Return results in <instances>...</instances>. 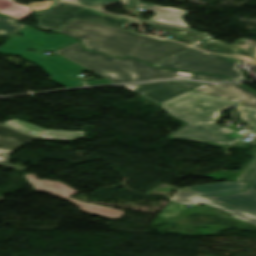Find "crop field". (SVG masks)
<instances>
[{
  "label": "crop field",
  "instance_id": "29",
  "mask_svg": "<svg viewBox=\"0 0 256 256\" xmlns=\"http://www.w3.org/2000/svg\"><path fill=\"white\" fill-rule=\"evenodd\" d=\"M0 16L13 17V16H15V15L10 14V13H7V12L0 11Z\"/></svg>",
  "mask_w": 256,
  "mask_h": 256
},
{
  "label": "crop field",
  "instance_id": "19",
  "mask_svg": "<svg viewBox=\"0 0 256 256\" xmlns=\"http://www.w3.org/2000/svg\"><path fill=\"white\" fill-rule=\"evenodd\" d=\"M195 91H199V92H203V93H207L213 96H217V97H221V98H225L228 100H231L233 102L239 103L238 98L236 97V95L231 94L215 85H210V84H205L203 86L197 87L195 89H192Z\"/></svg>",
  "mask_w": 256,
  "mask_h": 256
},
{
  "label": "crop field",
  "instance_id": "28",
  "mask_svg": "<svg viewBox=\"0 0 256 256\" xmlns=\"http://www.w3.org/2000/svg\"><path fill=\"white\" fill-rule=\"evenodd\" d=\"M87 84V86L89 85H101V84H110L113 83L109 80H102V81H91V82H85Z\"/></svg>",
  "mask_w": 256,
  "mask_h": 256
},
{
  "label": "crop field",
  "instance_id": "22",
  "mask_svg": "<svg viewBox=\"0 0 256 256\" xmlns=\"http://www.w3.org/2000/svg\"><path fill=\"white\" fill-rule=\"evenodd\" d=\"M0 10L16 14L19 18L32 12L29 6L16 5L9 0H0Z\"/></svg>",
  "mask_w": 256,
  "mask_h": 256
},
{
  "label": "crop field",
  "instance_id": "10",
  "mask_svg": "<svg viewBox=\"0 0 256 256\" xmlns=\"http://www.w3.org/2000/svg\"><path fill=\"white\" fill-rule=\"evenodd\" d=\"M207 198L256 216V179L242 193Z\"/></svg>",
  "mask_w": 256,
  "mask_h": 256
},
{
  "label": "crop field",
  "instance_id": "18",
  "mask_svg": "<svg viewBox=\"0 0 256 256\" xmlns=\"http://www.w3.org/2000/svg\"><path fill=\"white\" fill-rule=\"evenodd\" d=\"M220 86L238 94L242 98V104L256 108V95L236 84H221Z\"/></svg>",
  "mask_w": 256,
  "mask_h": 256
},
{
  "label": "crop field",
  "instance_id": "11",
  "mask_svg": "<svg viewBox=\"0 0 256 256\" xmlns=\"http://www.w3.org/2000/svg\"><path fill=\"white\" fill-rule=\"evenodd\" d=\"M16 129L24 132L34 131L32 134L45 140H76L81 139L84 136V132L78 131H58V130H46L36 125L26 123L21 120H10L5 123Z\"/></svg>",
  "mask_w": 256,
  "mask_h": 256
},
{
  "label": "crop field",
  "instance_id": "20",
  "mask_svg": "<svg viewBox=\"0 0 256 256\" xmlns=\"http://www.w3.org/2000/svg\"><path fill=\"white\" fill-rule=\"evenodd\" d=\"M0 136L12 139L14 141L23 143V144H27L35 139H37L36 137L15 131L13 129L4 127L2 125H0Z\"/></svg>",
  "mask_w": 256,
  "mask_h": 256
},
{
  "label": "crop field",
  "instance_id": "14",
  "mask_svg": "<svg viewBox=\"0 0 256 256\" xmlns=\"http://www.w3.org/2000/svg\"><path fill=\"white\" fill-rule=\"evenodd\" d=\"M222 127L216 124H187L169 137H184L211 142Z\"/></svg>",
  "mask_w": 256,
  "mask_h": 256
},
{
  "label": "crop field",
  "instance_id": "2",
  "mask_svg": "<svg viewBox=\"0 0 256 256\" xmlns=\"http://www.w3.org/2000/svg\"><path fill=\"white\" fill-rule=\"evenodd\" d=\"M22 33V37L16 35ZM14 36L10 37L5 44L0 48V53L19 55L34 64L42 67L52 80L67 88L80 87L83 83L74 76L78 75L85 68L67 60L66 58L55 54L52 56H45V51H55L65 46L76 42L71 38L63 35H46L40 31L34 30L31 27H26ZM36 49L35 52H28V48ZM40 52V54H37Z\"/></svg>",
  "mask_w": 256,
  "mask_h": 256
},
{
  "label": "crop field",
  "instance_id": "25",
  "mask_svg": "<svg viewBox=\"0 0 256 256\" xmlns=\"http://www.w3.org/2000/svg\"><path fill=\"white\" fill-rule=\"evenodd\" d=\"M187 206L171 202L159 217L169 218L171 216H178ZM176 208V210H174Z\"/></svg>",
  "mask_w": 256,
  "mask_h": 256
},
{
  "label": "crop field",
  "instance_id": "5",
  "mask_svg": "<svg viewBox=\"0 0 256 256\" xmlns=\"http://www.w3.org/2000/svg\"><path fill=\"white\" fill-rule=\"evenodd\" d=\"M239 62L241 61L236 58H228L191 48L155 66L224 75L235 81L244 80L241 71L237 69Z\"/></svg>",
  "mask_w": 256,
  "mask_h": 256
},
{
  "label": "crop field",
  "instance_id": "17",
  "mask_svg": "<svg viewBox=\"0 0 256 256\" xmlns=\"http://www.w3.org/2000/svg\"><path fill=\"white\" fill-rule=\"evenodd\" d=\"M21 146H23V144L0 137V153L1 152L5 153L4 155H0V165L11 167L13 169L20 170V171L25 170L26 168L24 167L8 164L11 158H9L7 154L13 152L14 150L18 149Z\"/></svg>",
  "mask_w": 256,
  "mask_h": 256
},
{
  "label": "crop field",
  "instance_id": "8",
  "mask_svg": "<svg viewBox=\"0 0 256 256\" xmlns=\"http://www.w3.org/2000/svg\"><path fill=\"white\" fill-rule=\"evenodd\" d=\"M203 83L188 82L182 80H172L156 83L124 85V87L159 103L175 95L188 91Z\"/></svg>",
  "mask_w": 256,
  "mask_h": 256
},
{
  "label": "crop field",
  "instance_id": "9",
  "mask_svg": "<svg viewBox=\"0 0 256 256\" xmlns=\"http://www.w3.org/2000/svg\"><path fill=\"white\" fill-rule=\"evenodd\" d=\"M199 48L209 52H217L240 57L251 64H256V49L241 40L237 41L233 45H228L221 41L209 40L204 42Z\"/></svg>",
  "mask_w": 256,
  "mask_h": 256
},
{
  "label": "crop field",
  "instance_id": "16",
  "mask_svg": "<svg viewBox=\"0 0 256 256\" xmlns=\"http://www.w3.org/2000/svg\"><path fill=\"white\" fill-rule=\"evenodd\" d=\"M248 184L239 182H225L217 184H208L183 188V190L195 193L201 196L214 195L221 193L242 191Z\"/></svg>",
  "mask_w": 256,
  "mask_h": 256
},
{
  "label": "crop field",
  "instance_id": "6",
  "mask_svg": "<svg viewBox=\"0 0 256 256\" xmlns=\"http://www.w3.org/2000/svg\"><path fill=\"white\" fill-rule=\"evenodd\" d=\"M39 28L58 31L72 19H82L124 28L138 23L128 17L107 16L98 10L55 2L49 10L34 13Z\"/></svg>",
  "mask_w": 256,
  "mask_h": 256
},
{
  "label": "crop field",
  "instance_id": "24",
  "mask_svg": "<svg viewBox=\"0 0 256 256\" xmlns=\"http://www.w3.org/2000/svg\"><path fill=\"white\" fill-rule=\"evenodd\" d=\"M62 1L102 9L106 4H113V3L123 4L125 0H62Z\"/></svg>",
  "mask_w": 256,
  "mask_h": 256
},
{
  "label": "crop field",
  "instance_id": "27",
  "mask_svg": "<svg viewBox=\"0 0 256 256\" xmlns=\"http://www.w3.org/2000/svg\"><path fill=\"white\" fill-rule=\"evenodd\" d=\"M53 2L54 1L33 2V3H30V6H31L33 11L42 10V9H49V7L51 6V4Z\"/></svg>",
  "mask_w": 256,
  "mask_h": 256
},
{
  "label": "crop field",
  "instance_id": "1",
  "mask_svg": "<svg viewBox=\"0 0 256 256\" xmlns=\"http://www.w3.org/2000/svg\"><path fill=\"white\" fill-rule=\"evenodd\" d=\"M58 32L80 39L85 48L115 57L132 56L152 65L191 48L134 31L77 19Z\"/></svg>",
  "mask_w": 256,
  "mask_h": 256
},
{
  "label": "crop field",
  "instance_id": "23",
  "mask_svg": "<svg viewBox=\"0 0 256 256\" xmlns=\"http://www.w3.org/2000/svg\"><path fill=\"white\" fill-rule=\"evenodd\" d=\"M240 118L251 126L256 132V109L240 104L237 108Z\"/></svg>",
  "mask_w": 256,
  "mask_h": 256
},
{
  "label": "crop field",
  "instance_id": "3",
  "mask_svg": "<svg viewBox=\"0 0 256 256\" xmlns=\"http://www.w3.org/2000/svg\"><path fill=\"white\" fill-rule=\"evenodd\" d=\"M83 67L90 69L115 83L149 81L169 77H184L203 81H229L224 77L153 68L132 58L115 59L83 50L78 43L56 51Z\"/></svg>",
  "mask_w": 256,
  "mask_h": 256
},
{
  "label": "crop field",
  "instance_id": "21",
  "mask_svg": "<svg viewBox=\"0 0 256 256\" xmlns=\"http://www.w3.org/2000/svg\"><path fill=\"white\" fill-rule=\"evenodd\" d=\"M27 25L15 20L0 18V34H4L8 37L17 33Z\"/></svg>",
  "mask_w": 256,
  "mask_h": 256
},
{
  "label": "crop field",
  "instance_id": "7",
  "mask_svg": "<svg viewBox=\"0 0 256 256\" xmlns=\"http://www.w3.org/2000/svg\"><path fill=\"white\" fill-rule=\"evenodd\" d=\"M28 182L34 187L35 192H44L57 197H61L67 200L72 201L77 207H79L82 211L101 215L113 219H119L124 212L112 208H107L103 206H98L94 204L84 203L77 201L71 197H68L77 191L72 189L71 187L62 184L56 181L49 180H38L33 174L24 175Z\"/></svg>",
  "mask_w": 256,
  "mask_h": 256
},
{
  "label": "crop field",
  "instance_id": "26",
  "mask_svg": "<svg viewBox=\"0 0 256 256\" xmlns=\"http://www.w3.org/2000/svg\"><path fill=\"white\" fill-rule=\"evenodd\" d=\"M256 176V158L255 160L244 170V172L238 177L236 181L250 183Z\"/></svg>",
  "mask_w": 256,
  "mask_h": 256
},
{
  "label": "crop field",
  "instance_id": "4",
  "mask_svg": "<svg viewBox=\"0 0 256 256\" xmlns=\"http://www.w3.org/2000/svg\"><path fill=\"white\" fill-rule=\"evenodd\" d=\"M159 105L175 118L187 123H215L221 116L220 112L237 104L190 90Z\"/></svg>",
  "mask_w": 256,
  "mask_h": 256
},
{
  "label": "crop field",
  "instance_id": "30",
  "mask_svg": "<svg viewBox=\"0 0 256 256\" xmlns=\"http://www.w3.org/2000/svg\"><path fill=\"white\" fill-rule=\"evenodd\" d=\"M238 84H240V83H238ZM240 85H242V84H240ZM242 86H244V85H242ZM245 88H247V89H249V90H251V91H253V92H255L254 90H252V89H250V88H248V87H246V86H244ZM256 93V92H255Z\"/></svg>",
  "mask_w": 256,
  "mask_h": 256
},
{
  "label": "crop field",
  "instance_id": "31",
  "mask_svg": "<svg viewBox=\"0 0 256 256\" xmlns=\"http://www.w3.org/2000/svg\"><path fill=\"white\" fill-rule=\"evenodd\" d=\"M0 201H3V197L2 196H0Z\"/></svg>",
  "mask_w": 256,
  "mask_h": 256
},
{
  "label": "crop field",
  "instance_id": "12",
  "mask_svg": "<svg viewBox=\"0 0 256 256\" xmlns=\"http://www.w3.org/2000/svg\"><path fill=\"white\" fill-rule=\"evenodd\" d=\"M170 200L184 203V204H193V205H200L204 203V204L213 206L215 208L230 212L233 214V217L239 218L241 220H244L256 225V217L253 215H250L242 211L236 210L234 208L205 199L201 196L185 192L181 189H179Z\"/></svg>",
  "mask_w": 256,
  "mask_h": 256
},
{
  "label": "crop field",
  "instance_id": "15",
  "mask_svg": "<svg viewBox=\"0 0 256 256\" xmlns=\"http://www.w3.org/2000/svg\"><path fill=\"white\" fill-rule=\"evenodd\" d=\"M138 19L142 23H146L150 25L153 29L164 30V31H167L168 33L178 36L173 40L191 44L199 39H202V40L213 39L208 34L193 31L191 29H185V28H181V27H177V26H173L165 23L153 22V21H148L140 18Z\"/></svg>",
  "mask_w": 256,
  "mask_h": 256
},
{
  "label": "crop field",
  "instance_id": "13",
  "mask_svg": "<svg viewBox=\"0 0 256 256\" xmlns=\"http://www.w3.org/2000/svg\"><path fill=\"white\" fill-rule=\"evenodd\" d=\"M126 5L130 7H141V8L149 9L155 12V16L150 20L166 22V23L188 28V26L185 24L184 20L182 19L183 16L186 13H188L187 11L142 3L141 1H137V0H127ZM166 18L169 20H165Z\"/></svg>",
  "mask_w": 256,
  "mask_h": 256
}]
</instances>
